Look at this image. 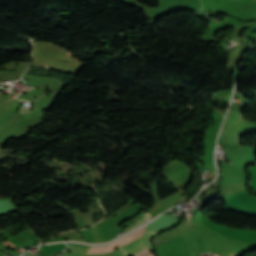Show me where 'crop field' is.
<instances>
[{"instance_id":"1","label":"crop field","mask_w":256,"mask_h":256,"mask_svg":"<svg viewBox=\"0 0 256 256\" xmlns=\"http://www.w3.org/2000/svg\"><path fill=\"white\" fill-rule=\"evenodd\" d=\"M159 232H147L145 231V234L143 237L132 241L122 247L120 249L124 251L127 255H134L144 249L145 244L149 248L150 252L154 251L153 247L150 243L151 239L154 235L158 234Z\"/></svg>"},{"instance_id":"2","label":"crop field","mask_w":256,"mask_h":256,"mask_svg":"<svg viewBox=\"0 0 256 256\" xmlns=\"http://www.w3.org/2000/svg\"><path fill=\"white\" fill-rule=\"evenodd\" d=\"M144 228H145V227H142V228L139 229L138 231L132 233L131 235H129V236H127V237H125V238H123V239H121V240H119V241H117V242H115V243H113V244H111V245L103 246V247H98V248H91V249L89 250L88 254L112 251V250H114V249L117 247L118 244L122 243L123 241H125V240H127V239H128V240L125 241L124 243L120 244V246L123 245V244H126V243H128V242H130V241H132V240H135V239L141 237Z\"/></svg>"},{"instance_id":"3","label":"crop field","mask_w":256,"mask_h":256,"mask_svg":"<svg viewBox=\"0 0 256 256\" xmlns=\"http://www.w3.org/2000/svg\"><path fill=\"white\" fill-rule=\"evenodd\" d=\"M146 221H148V214L142 215L138 221H136L135 223H133L129 227L125 228L124 231L125 232L130 231V230L136 228L137 226L143 224Z\"/></svg>"},{"instance_id":"4","label":"crop field","mask_w":256,"mask_h":256,"mask_svg":"<svg viewBox=\"0 0 256 256\" xmlns=\"http://www.w3.org/2000/svg\"><path fill=\"white\" fill-rule=\"evenodd\" d=\"M134 256H154V255L151 254V253L149 252V250L147 249V247L145 246V249H144L143 252H140V253H138V254H136V255H134Z\"/></svg>"}]
</instances>
